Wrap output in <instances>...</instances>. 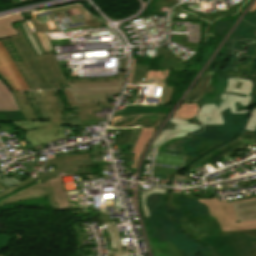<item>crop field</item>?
<instances>
[{
    "label": "crop field",
    "instance_id": "obj_6",
    "mask_svg": "<svg viewBox=\"0 0 256 256\" xmlns=\"http://www.w3.org/2000/svg\"><path fill=\"white\" fill-rule=\"evenodd\" d=\"M31 22L45 53L53 52L45 32L103 26L88 14L79 17L62 19L63 24L60 25H57L56 21L38 24L34 21V19H32Z\"/></svg>",
    "mask_w": 256,
    "mask_h": 256
},
{
    "label": "crop field",
    "instance_id": "obj_11",
    "mask_svg": "<svg viewBox=\"0 0 256 256\" xmlns=\"http://www.w3.org/2000/svg\"><path fill=\"white\" fill-rule=\"evenodd\" d=\"M22 75L24 76L26 82L28 83L31 90H43L38 81L36 80V76L34 77L30 67L22 56L19 48L14 42L13 38H7L2 40Z\"/></svg>",
    "mask_w": 256,
    "mask_h": 256
},
{
    "label": "crop field",
    "instance_id": "obj_20",
    "mask_svg": "<svg viewBox=\"0 0 256 256\" xmlns=\"http://www.w3.org/2000/svg\"><path fill=\"white\" fill-rule=\"evenodd\" d=\"M19 110L11 92L0 80V111H17Z\"/></svg>",
    "mask_w": 256,
    "mask_h": 256
},
{
    "label": "crop field",
    "instance_id": "obj_29",
    "mask_svg": "<svg viewBox=\"0 0 256 256\" xmlns=\"http://www.w3.org/2000/svg\"><path fill=\"white\" fill-rule=\"evenodd\" d=\"M107 130H109L107 132L119 131V134H115V135H113L114 137L108 138V139H113L114 138L115 145H125V144H127L131 130H118V129H107Z\"/></svg>",
    "mask_w": 256,
    "mask_h": 256
},
{
    "label": "crop field",
    "instance_id": "obj_47",
    "mask_svg": "<svg viewBox=\"0 0 256 256\" xmlns=\"http://www.w3.org/2000/svg\"><path fill=\"white\" fill-rule=\"evenodd\" d=\"M256 11V2L254 3V5L251 7V9L249 10V12L247 14L252 15V13Z\"/></svg>",
    "mask_w": 256,
    "mask_h": 256
},
{
    "label": "crop field",
    "instance_id": "obj_31",
    "mask_svg": "<svg viewBox=\"0 0 256 256\" xmlns=\"http://www.w3.org/2000/svg\"><path fill=\"white\" fill-rule=\"evenodd\" d=\"M181 196H183L185 198L193 199V196H184L183 193L182 194H177V193L168 192V194L166 196V199H167V202H168L170 208H172V209L180 208L177 198L181 197Z\"/></svg>",
    "mask_w": 256,
    "mask_h": 256
},
{
    "label": "crop field",
    "instance_id": "obj_14",
    "mask_svg": "<svg viewBox=\"0 0 256 256\" xmlns=\"http://www.w3.org/2000/svg\"><path fill=\"white\" fill-rule=\"evenodd\" d=\"M239 138L243 139H249L252 140L254 143H256V133L251 132H245L242 131V133L238 136V139L233 141L232 143L225 145L214 152L210 153L209 155L205 156L200 160L201 164L204 165L206 163H210V165L213 167L214 170L218 169V167L211 161L212 159L218 157L222 153L226 152L227 150L233 148L234 151L239 150L238 147L243 146L242 142L239 140ZM199 162V161H198ZM194 165V164H193ZM192 166V165H191ZM190 167V166H189Z\"/></svg>",
    "mask_w": 256,
    "mask_h": 256
},
{
    "label": "crop field",
    "instance_id": "obj_24",
    "mask_svg": "<svg viewBox=\"0 0 256 256\" xmlns=\"http://www.w3.org/2000/svg\"><path fill=\"white\" fill-rule=\"evenodd\" d=\"M200 107L201 104H180L173 116L191 120L196 116Z\"/></svg>",
    "mask_w": 256,
    "mask_h": 256
},
{
    "label": "crop field",
    "instance_id": "obj_46",
    "mask_svg": "<svg viewBox=\"0 0 256 256\" xmlns=\"http://www.w3.org/2000/svg\"><path fill=\"white\" fill-rule=\"evenodd\" d=\"M231 229H232V231L251 230V229H256V226L235 227V228H231Z\"/></svg>",
    "mask_w": 256,
    "mask_h": 256
},
{
    "label": "crop field",
    "instance_id": "obj_40",
    "mask_svg": "<svg viewBox=\"0 0 256 256\" xmlns=\"http://www.w3.org/2000/svg\"><path fill=\"white\" fill-rule=\"evenodd\" d=\"M162 73L163 72L148 71L146 79L160 81Z\"/></svg>",
    "mask_w": 256,
    "mask_h": 256
},
{
    "label": "crop field",
    "instance_id": "obj_49",
    "mask_svg": "<svg viewBox=\"0 0 256 256\" xmlns=\"http://www.w3.org/2000/svg\"><path fill=\"white\" fill-rule=\"evenodd\" d=\"M205 255L206 256H212V253L211 252H207Z\"/></svg>",
    "mask_w": 256,
    "mask_h": 256
},
{
    "label": "crop field",
    "instance_id": "obj_3",
    "mask_svg": "<svg viewBox=\"0 0 256 256\" xmlns=\"http://www.w3.org/2000/svg\"><path fill=\"white\" fill-rule=\"evenodd\" d=\"M251 85V80L227 78V88L225 91L245 94L248 95V98L223 94L221 97L223 101L219 104L218 108H216L215 104L203 105L195 120L202 122V127H205V125H224L225 122L221 117L222 114L227 117V114L223 111L224 109L230 107V112L232 113H246L247 110L235 112V106L236 102H240L242 106H247L249 104Z\"/></svg>",
    "mask_w": 256,
    "mask_h": 256
},
{
    "label": "crop field",
    "instance_id": "obj_16",
    "mask_svg": "<svg viewBox=\"0 0 256 256\" xmlns=\"http://www.w3.org/2000/svg\"><path fill=\"white\" fill-rule=\"evenodd\" d=\"M212 73L213 72L209 70L203 74L191 92L186 96L183 103H194L201 99L208 87Z\"/></svg>",
    "mask_w": 256,
    "mask_h": 256
},
{
    "label": "crop field",
    "instance_id": "obj_34",
    "mask_svg": "<svg viewBox=\"0 0 256 256\" xmlns=\"http://www.w3.org/2000/svg\"><path fill=\"white\" fill-rule=\"evenodd\" d=\"M9 120H26L22 117L21 112H0V121H9Z\"/></svg>",
    "mask_w": 256,
    "mask_h": 256
},
{
    "label": "crop field",
    "instance_id": "obj_15",
    "mask_svg": "<svg viewBox=\"0 0 256 256\" xmlns=\"http://www.w3.org/2000/svg\"><path fill=\"white\" fill-rule=\"evenodd\" d=\"M79 6L75 5V6H71V7L49 10L46 12L35 14L34 16H35V19L39 23H43L45 21L58 19V17L63 18V17L81 15V14L86 13Z\"/></svg>",
    "mask_w": 256,
    "mask_h": 256
},
{
    "label": "crop field",
    "instance_id": "obj_21",
    "mask_svg": "<svg viewBox=\"0 0 256 256\" xmlns=\"http://www.w3.org/2000/svg\"><path fill=\"white\" fill-rule=\"evenodd\" d=\"M234 205L239 221L256 220V201Z\"/></svg>",
    "mask_w": 256,
    "mask_h": 256
},
{
    "label": "crop field",
    "instance_id": "obj_17",
    "mask_svg": "<svg viewBox=\"0 0 256 256\" xmlns=\"http://www.w3.org/2000/svg\"><path fill=\"white\" fill-rule=\"evenodd\" d=\"M156 130L157 128H145L142 130L140 137L138 139L137 145L132 153V154H135V156H134L131 168H136L143 150L145 149L149 140L153 137Z\"/></svg>",
    "mask_w": 256,
    "mask_h": 256
},
{
    "label": "crop field",
    "instance_id": "obj_35",
    "mask_svg": "<svg viewBox=\"0 0 256 256\" xmlns=\"http://www.w3.org/2000/svg\"><path fill=\"white\" fill-rule=\"evenodd\" d=\"M61 173H62V176H64V175H69V174H93V171H92V169H81V170H74V171L61 172ZM58 176H59V173L41 178L40 180H41V182H43V181H46L48 179H52V178H55Z\"/></svg>",
    "mask_w": 256,
    "mask_h": 256
},
{
    "label": "crop field",
    "instance_id": "obj_10",
    "mask_svg": "<svg viewBox=\"0 0 256 256\" xmlns=\"http://www.w3.org/2000/svg\"><path fill=\"white\" fill-rule=\"evenodd\" d=\"M41 196H48L50 207L58 210L49 181L43 184L37 183L25 190H22L10 197H7L0 201V205L24 199L37 198Z\"/></svg>",
    "mask_w": 256,
    "mask_h": 256
},
{
    "label": "crop field",
    "instance_id": "obj_50",
    "mask_svg": "<svg viewBox=\"0 0 256 256\" xmlns=\"http://www.w3.org/2000/svg\"><path fill=\"white\" fill-rule=\"evenodd\" d=\"M53 134H54V135H55V134H59V132H56V133H53Z\"/></svg>",
    "mask_w": 256,
    "mask_h": 256
},
{
    "label": "crop field",
    "instance_id": "obj_22",
    "mask_svg": "<svg viewBox=\"0 0 256 256\" xmlns=\"http://www.w3.org/2000/svg\"><path fill=\"white\" fill-rule=\"evenodd\" d=\"M108 230L110 242L112 244L113 256H128L129 253L122 254L119 232L115 222L104 224Z\"/></svg>",
    "mask_w": 256,
    "mask_h": 256
},
{
    "label": "crop field",
    "instance_id": "obj_52",
    "mask_svg": "<svg viewBox=\"0 0 256 256\" xmlns=\"http://www.w3.org/2000/svg\"><path fill=\"white\" fill-rule=\"evenodd\" d=\"M256 132V131H255Z\"/></svg>",
    "mask_w": 256,
    "mask_h": 256
},
{
    "label": "crop field",
    "instance_id": "obj_25",
    "mask_svg": "<svg viewBox=\"0 0 256 256\" xmlns=\"http://www.w3.org/2000/svg\"><path fill=\"white\" fill-rule=\"evenodd\" d=\"M13 95L21 109L23 117L28 120H37L31 106L28 103V100L25 97L24 92H13Z\"/></svg>",
    "mask_w": 256,
    "mask_h": 256
},
{
    "label": "crop field",
    "instance_id": "obj_23",
    "mask_svg": "<svg viewBox=\"0 0 256 256\" xmlns=\"http://www.w3.org/2000/svg\"><path fill=\"white\" fill-rule=\"evenodd\" d=\"M58 169H54L50 172H46L41 175H37L38 178L54 174L56 172H61V171H67V170H74V169H80V168H92L91 167V161L90 160H85V161H76V162H69L61 165L56 166Z\"/></svg>",
    "mask_w": 256,
    "mask_h": 256
},
{
    "label": "crop field",
    "instance_id": "obj_30",
    "mask_svg": "<svg viewBox=\"0 0 256 256\" xmlns=\"http://www.w3.org/2000/svg\"><path fill=\"white\" fill-rule=\"evenodd\" d=\"M152 193H158V194L164 195L165 190L153 188L152 191H144V192H142V194H141L142 212H143L145 218L149 217V211H148V209H147V207L145 205V198H146V196H148V195H150Z\"/></svg>",
    "mask_w": 256,
    "mask_h": 256
},
{
    "label": "crop field",
    "instance_id": "obj_28",
    "mask_svg": "<svg viewBox=\"0 0 256 256\" xmlns=\"http://www.w3.org/2000/svg\"><path fill=\"white\" fill-rule=\"evenodd\" d=\"M76 159L84 160V159H90V157H89V155L60 156V157H56L53 159H48V161L44 167L57 165V164H61V163L69 162V161H76Z\"/></svg>",
    "mask_w": 256,
    "mask_h": 256
},
{
    "label": "crop field",
    "instance_id": "obj_5",
    "mask_svg": "<svg viewBox=\"0 0 256 256\" xmlns=\"http://www.w3.org/2000/svg\"><path fill=\"white\" fill-rule=\"evenodd\" d=\"M199 240L210 246L216 256H247L256 249V246H252L256 237L250 238L248 234L218 235Z\"/></svg>",
    "mask_w": 256,
    "mask_h": 256
},
{
    "label": "crop field",
    "instance_id": "obj_36",
    "mask_svg": "<svg viewBox=\"0 0 256 256\" xmlns=\"http://www.w3.org/2000/svg\"><path fill=\"white\" fill-rule=\"evenodd\" d=\"M212 229L214 231L215 235L218 234H238V233H249L251 237L256 236V230L252 231H243V232H231L230 230H221L218 226V224H211Z\"/></svg>",
    "mask_w": 256,
    "mask_h": 256
},
{
    "label": "crop field",
    "instance_id": "obj_7",
    "mask_svg": "<svg viewBox=\"0 0 256 256\" xmlns=\"http://www.w3.org/2000/svg\"><path fill=\"white\" fill-rule=\"evenodd\" d=\"M197 200L206 206L209 215L193 218L189 212H183L181 217L182 228L196 238L214 235L210 224L217 222L208 199Z\"/></svg>",
    "mask_w": 256,
    "mask_h": 256
},
{
    "label": "crop field",
    "instance_id": "obj_37",
    "mask_svg": "<svg viewBox=\"0 0 256 256\" xmlns=\"http://www.w3.org/2000/svg\"><path fill=\"white\" fill-rule=\"evenodd\" d=\"M140 131H141V129H132L131 135H130V138H129V142H128V144L131 145L128 154L132 153V150H133V148H134V146L137 142V139L139 137Z\"/></svg>",
    "mask_w": 256,
    "mask_h": 256
},
{
    "label": "crop field",
    "instance_id": "obj_41",
    "mask_svg": "<svg viewBox=\"0 0 256 256\" xmlns=\"http://www.w3.org/2000/svg\"><path fill=\"white\" fill-rule=\"evenodd\" d=\"M172 88H173V87L166 86L165 92H164V96H163V100H162V104H161V105L168 104L169 96H170V93H171V91H172Z\"/></svg>",
    "mask_w": 256,
    "mask_h": 256
},
{
    "label": "crop field",
    "instance_id": "obj_38",
    "mask_svg": "<svg viewBox=\"0 0 256 256\" xmlns=\"http://www.w3.org/2000/svg\"><path fill=\"white\" fill-rule=\"evenodd\" d=\"M78 101H97V100H106V95L100 96H83V97H75Z\"/></svg>",
    "mask_w": 256,
    "mask_h": 256
},
{
    "label": "crop field",
    "instance_id": "obj_48",
    "mask_svg": "<svg viewBox=\"0 0 256 256\" xmlns=\"http://www.w3.org/2000/svg\"><path fill=\"white\" fill-rule=\"evenodd\" d=\"M253 245H256V242H253ZM249 256H256V250H254Z\"/></svg>",
    "mask_w": 256,
    "mask_h": 256
},
{
    "label": "crop field",
    "instance_id": "obj_27",
    "mask_svg": "<svg viewBox=\"0 0 256 256\" xmlns=\"http://www.w3.org/2000/svg\"><path fill=\"white\" fill-rule=\"evenodd\" d=\"M193 139L202 140L197 151H194V153L199 154V155H204V154L208 153L210 150L224 144V141L205 139V138H197L196 136H194Z\"/></svg>",
    "mask_w": 256,
    "mask_h": 256
},
{
    "label": "crop field",
    "instance_id": "obj_51",
    "mask_svg": "<svg viewBox=\"0 0 256 256\" xmlns=\"http://www.w3.org/2000/svg\"><path fill=\"white\" fill-rule=\"evenodd\" d=\"M255 94H256V87H255Z\"/></svg>",
    "mask_w": 256,
    "mask_h": 256
},
{
    "label": "crop field",
    "instance_id": "obj_1",
    "mask_svg": "<svg viewBox=\"0 0 256 256\" xmlns=\"http://www.w3.org/2000/svg\"><path fill=\"white\" fill-rule=\"evenodd\" d=\"M14 40L43 89L71 88L74 96L119 93L125 76L93 79H65L53 53L37 57L19 24Z\"/></svg>",
    "mask_w": 256,
    "mask_h": 256
},
{
    "label": "crop field",
    "instance_id": "obj_42",
    "mask_svg": "<svg viewBox=\"0 0 256 256\" xmlns=\"http://www.w3.org/2000/svg\"><path fill=\"white\" fill-rule=\"evenodd\" d=\"M141 67L142 66L136 64L132 83H137L138 82V78H139V75H140Z\"/></svg>",
    "mask_w": 256,
    "mask_h": 256
},
{
    "label": "crop field",
    "instance_id": "obj_4",
    "mask_svg": "<svg viewBox=\"0 0 256 256\" xmlns=\"http://www.w3.org/2000/svg\"><path fill=\"white\" fill-rule=\"evenodd\" d=\"M172 105L144 106L130 105L122 111H115L110 123L115 127H132L141 125L144 127H159L173 108Z\"/></svg>",
    "mask_w": 256,
    "mask_h": 256
},
{
    "label": "crop field",
    "instance_id": "obj_43",
    "mask_svg": "<svg viewBox=\"0 0 256 256\" xmlns=\"http://www.w3.org/2000/svg\"><path fill=\"white\" fill-rule=\"evenodd\" d=\"M136 61H137L136 59H132V62H131L130 72H129L128 81H127V83L129 84H131V81H132V76H133Z\"/></svg>",
    "mask_w": 256,
    "mask_h": 256
},
{
    "label": "crop field",
    "instance_id": "obj_44",
    "mask_svg": "<svg viewBox=\"0 0 256 256\" xmlns=\"http://www.w3.org/2000/svg\"><path fill=\"white\" fill-rule=\"evenodd\" d=\"M147 70H148V67H146V66H143V67H142V71H141V75H140V78H139V82H138V83H140V84H143V83H144Z\"/></svg>",
    "mask_w": 256,
    "mask_h": 256
},
{
    "label": "crop field",
    "instance_id": "obj_12",
    "mask_svg": "<svg viewBox=\"0 0 256 256\" xmlns=\"http://www.w3.org/2000/svg\"><path fill=\"white\" fill-rule=\"evenodd\" d=\"M64 90L71 103V106L77 105L78 107V111L81 119V125L95 124V122H98L100 121V119H102V118H97L94 115V112H101V109L98 108L97 105L105 104L106 101L77 103L74 100L73 96L71 95L70 91L67 89H64Z\"/></svg>",
    "mask_w": 256,
    "mask_h": 256
},
{
    "label": "crop field",
    "instance_id": "obj_9",
    "mask_svg": "<svg viewBox=\"0 0 256 256\" xmlns=\"http://www.w3.org/2000/svg\"><path fill=\"white\" fill-rule=\"evenodd\" d=\"M0 75L13 91L30 90L23 76L0 40Z\"/></svg>",
    "mask_w": 256,
    "mask_h": 256
},
{
    "label": "crop field",
    "instance_id": "obj_45",
    "mask_svg": "<svg viewBox=\"0 0 256 256\" xmlns=\"http://www.w3.org/2000/svg\"><path fill=\"white\" fill-rule=\"evenodd\" d=\"M10 238L6 237L5 235H0V250L7 244Z\"/></svg>",
    "mask_w": 256,
    "mask_h": 256
},
{
    "label": "crop field",
    "instance_id": "obj_18",
    "mask_svg": "<svg viewBox=\"0 0 256 256\" xmlns=\"http://www.w3.org/2000/svg\"><path fill=\"white\" fill-rule=\"evenodd\" d=\"M52 189L55 195V199L58 205L59 210H68L70 205L68 203V198L64 190L62 178H56L50 180Z\"/></svg>",
    "mask_w": 256,
    "mask_h": 256
},
{
    "label": "crop field",
    "instance_id": "obj_33",
    "mask_svg": "<svg viewBox=\"0 0 256 256\" xmlns=\"http://www.w3.org/2000/svg\"><path fill=\"white\" fill-rule=\"evenodd\" d=\"M19 24H20L21 27L23 28L24 33H25V35H26L28 41L31 43V45H32L33 49L36 51L37 55L42 54L40 48L38 47L37 43L35 42V40H34L32 34H31V32H30L28 26L26 25V23H25V22H22V23H19Z\"/></svg>",
    "mask_w": 256,
    "mask_h": 256
},
{
    "label": "crop field",
    "instance_id": "obj_19",
    "mask_svg": "<svg viewBox=\"0 0 256 256\" xmlns=\"http://www.w3.org/2000/svg\"><path fill=\"white\" fill-rule=\"evenodd\" d=\"M21 21H24V18L22 17L21 14L16 16H11L9 18L1 19L0 20V39L18 35V32L15 29L13 24Z\"/></svg>",
    "mask_w": 256,
    "mask_h": 256
},
{
    "label": "crop field",
    "instance_id": "obj_2",
    "mask_svg": "<svg viewBox=\"0 0 256 256\" xmlns=\"http://www.w3.org/2000/svg\"><path fill=\"white\" fill-rule=\"evenodd\" d=\"M50 121H11L17 128L27 130L25 139L31 147L47 144L48 141L65 138L64 128L51 125H66L62 123L58 107L51 90L39 93ZM59 131L60 135L53 136L52 132Z\"/></svg>",
    "mask_w": 256,
    "mask_h": 256
},
{
    "label": "crop field",
    "instance_id": "obj_26",
    "mask_svg": "<svg viewBox=\"0 0 256 256\" xmlns=\"http://www.w3.org/2000/svg\"><path fill=\"white\" fill-rule=\"evenodd\" d=\"M153 256H180L178 251L172 246L171 243L165 242V243H150ZM157 250V252H155Z\"/></svg>",
    "mask_w": 256,
    "mask_h": 256
},
{
    "label": "crop field",
    "instance_id": "obj_8",
    "mask_svg": "<svg viewBox=\"0 0 256 256\" xmlns=\"http://www.w3.org/2000/svg\"><path fill=\"white\" fill-rule=\"evenodd\" d=\"M253 200H256V198L226 203V201L219 202L218 198L214 197L209 199V202L220 228L230 229L234 226L256 225V221L239 222L233 205V203Z\"/></svg>",
    "mask_w": 256,
    "mask_h": 256
},
{
    "label": "crop field",
    "instance_id": "obj_13",
    "mask_svg": "<svg viewBox=\"0 0 256 256\" xmlns=\"http://www.w3.org/2000/svg\"><path fill=\"white\" fill-rule=\"evenodd\" d=\"M170 121L178 124V127L173 130H163L159 134V136L157 137V139L155 140V142L151 147L157 148L159 145L163 144L165 141L169 139L179 137V136H184L185 134H187V132L191 133L201 128V127L193 126L189 124L186 120L176 118V117L172 118Z\"/></svg>",
    "mask_w": 256,
    "mask_h": 256
},
{
    "label": "crop field",
    "instance_id": "obj_32",
    "mask_svg": "<svg viewBox=\"0 0 256 256\" xmlns=\"http://www.w3.org/2000/svg\"><path fill=\"white\" fill-rule=\"evenodd\" d=\"M256 128V109L251 108L249 118L242 130L254 132Z\"/></svg>",
    "mask_w": 256,
    "mask_h": 256
},
{
    "label": "crop field",
    "instance_id": "obj_39",
    "mask_svg": "<svg viewBox=\"0 0 256 256\" xmlns=\"http://www.w3.org/2000/svg\"><path fill=\"white\" fill-rule=\"evenodd\" d=\"M32 93H33V95H34V97H35V100L37 101V103H38V105H39V108H40V110H41L42 117L44 118V120H49V119H48V116H47V114H46V112H45V109H44V107H43V104H42V102H41V99H40V96H39V94H38V91H37V92H32Z\"/></svg>",
    "mask_w": 256,
    "mask_h": 256
}]
</instances>
